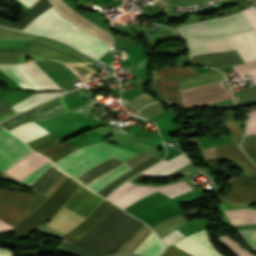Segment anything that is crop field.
<instances>
[{
    "label": "crop field",
    "instance_id": "obj_1",
    "mask_svg": "<svg viewBox=\"0 0 256 256\" xmlns=\"http://www.w3.org/2000/svg\"><path fill=\"white\" fill-rule=\"evenodd\" d=\"M256 31V8L242 11ZM242 12L219 19L205 20L177 28L184 35L218 36L252 29ZM191 56L233 50L234 47L245 63L256 60V34L254 30L223 37H186Z\"/></svg>",
    "mask_w": 256,
    "mask_h": 256
},
{
    "label": "crop field",
    "instance_id": "obj_2",
    "mask_svg": "<svg viewBox=\"0 0 256 256\" xmlns=\"http://www.w3.org/2000/svg\"><path fill=\"white\" fill-rule=\"evenodd\" d=\"M136 155L137 154L131 153L125 149L116 147L105 142H101L82 147L70 154L69 156L55 162L54 165L67 173L69 176L76 179L88 169L112 156L123 161V164L108 171L107 173L103 174L86 186L97 193L103 186L108 184L110 181H112L119 175L131 170V168L125 161Z\"/></svg>",
    "mask_w": 256,
    "mask_h": 256
},
{
    "label": "crop field",
    "instance_id": "obj_3",
    "mask_svg": "<svg viewBox=\"0 0 256 256\" xmlns=\"http://www.w3.org/2000/svg\"><path fill=\"white\" fill-rule=\"evenodd\" d=\"M145 224L114 209L92 230L76 241L73 246L112 255L116 253Z\"/></svg>",
    "mask_w": 256,
    "mask_h": 256
},
{
    "label": "crop field",
    "instance_id": "obj_4",
    "mask_svg": "<svg viewBox=\"0 0 256 256\" xmlns=\"http://www.w3.org/2000/svg\"><path fill=\"white\" fill-rule=\"evenodd\" d=\"M23 30L58 38L98 60L110 49L97 37L82 33L72 23L61 18L53 7L36 17Z\"/></svg>",
    "mask_w": 256,
    "mask_h": 256
},
{
    "label": "crop field",
    "instance_id": "obj_5",
    "mask_svg": "<svg viewBox=\"0 0 256 256\" xmlns=\"http://www.w3.org/2000/svg\"><path fill=\"white\" fill-rule=\"evenodd\" d=\"M217 158H228L237 161L245 168L246 176L232 180V184L254 177L256 179V166L242 153L234 142L215 146ZM248 179L233 185L226 196L233 203H256V180Z\"/></svg>",
    "mask_w": 256,
    "mask_h": 256
},
{
    "label": "crop field",
    "instance_id": "obj_6",
    "mask_svg": "<svg viewBox=\"0 0 256 256\" xmlns=\"http://www.w3.org/2000/svg\"><path fill=\"white\" fill-rule=\"evenodd\" d=\"M103 199L104 198L92 193L81 185L64 206L86 218L94 211ZM64 206L47 223V225L67 233L83 222L85 218L66 209Z\"/></svg>",
    "mask_w": 256,
    "mask_h": 256
},
{
    "label": "crop field",
    "instance_id": "obj_7",
    "mask_svg": "<svg viewBox=\"0 0 256 256\" xmlns=\"http://www.w3.org/2000/svg\"><path fill=\"white\" fill-rule=\"evenodd\" d=\"M47 197L23 194L0 189V220L15 226L46 200ZM0 221V234L11 230L12 226Z\"/></svg>",
    "mask_w": 256,
    "mask_h": 256
},
{
    "label": "crop field",
    "instance_id": "obj_8",
    "mask_svg": "<svg viewBox=\"0 0 256 256\" xmlns=\"http://www.w3.org/2000/svg\"><path fill=\"white\" fill-rule=\"evenodd\" d=\"M219 239L224 245L231 248L239 256H254L246 251L237 241H231L225 236H221ZM175 244L201 256H224L214 247L205 229L191 234ZM179 246L176 247V245L173 244L171 247L165 249V252H163L160 256H166L167 253L175 247L176 248L174 250L170 251L168 256H198Z\"/></svg>",
    "mask_w": 256,
    "mask_h": 256
},
{
    "label": "crop field",
    "instance_id": "obj_9",
    "mask_svg": "<svg viewBox=\"0 0 256 256\" xmlns=\"http://www.w3.org/2000/svg\"><path fill=\"white\" fill-rule=\"evenodd\" d=\"M80 185L68 177L40 208L19 222L11 231L28 236L42 222L51 219Z\"/></svg>",
    "mask_w": 256,
    "mask_h": 256
},
{
    "label": "crop field",
    "instance_id": "obj_10",
    "mask_svg": "<svg viewBox=\"0 0 256 256\" xmlns=\"http://www.w3.org/2000/svg\"><path fill=\"white\" fill-rule=\"evenodd\" d=\"M191 190L183 181L160 186V187H146L134 184L132 181H127L117 190H115L109 197V199L120 206L121 208H126L129 205L135 203L139 199L159 191L171 198L182 194L186 191Z\"/></svg>",
    "mask_w": 256,
    "mask_h": 256
},
{
    "label": "crop field",
    "instance_id": "obj_11",
    "mask_svg": "<svg viewBox=\"0 0 256 256\" xmlns=\"http://www.w3.org/2000/svg\"><path fill=\"white\" fill-rule=\"evenodd\" d=\"M224 80L180 91L185 109L201 104L232 98Z\"/></svg>",
    "mask_w": 256,
    "mask_h": 256
},
{
    "label": "crop field",
    "instance_id": "obj_12",
    "mask_svg": "<svg viewBox=\"0 0 256 256\" xmlns=\"http://www.w3.org/2000/svg\"><path fill=\"white\" fill-rule=\"evenodd\" d=\"M66 111H69V108L66 106L62 95L28 110L24 115L1 126L10 131L26 122L50 118Z\"/></svg>",
    "mask_w": 256,
    "mask_h": 256
},
{
    "label": "crop field",
    "instance_id": "obj_13",
    "mask_svg": "<svg viewBox=\"0 0 256 256\" xmlns=\"http://www.w3.org/2000/svg\"><path fill=\"white\" fill-rule=\"evenodd\" d=\"M32 150L4 129H0V169H8Z\"/></svg>",
    "mask_w": 256,
    "mask_h": 256
},
{
    "label": "crop field",
    "instance_id": "obj_14",
    "mask_svg": "<svg viewBox=\"0 0 256 256\" xmlns=\"http://www.w3.org/2000/svg\"><path fill=\"white\" fill-rule=\"evenodd\" d=\"M114 206L115 205H113L108 200H104V202L97 207V209L85 222L78 225L68 234L63 236V242H66L70 245L74 243L79 237L95 227L112 210Z\"/></svg>",
    "mask_w": 256,
    "mask_h": 256
},
{
    "label": "crop field",
    "instance_id": "obj_15",
    "mask_svg": "<svg viewBox=\"0 0 256 256\" xmlns=\"http://www.w3.org/2000/svg\"><path fill=\"white\" fill-rule=\"evenodd\" d=\"M47 161H49V159L41 157L34 152H31L5 172L12 175L17 180H20Z\"/></svg>",
    "mask_w": 256,
    "mask_h": 256
},
{
    "label": "crop field",
    "instance_id": "obj_16",
    "mask_svg": "<svg viewBox=\"0 0 256 256\" xmlns=\"http://www.w3.org/2000/svg\"><path fill=\"white\" fill-rule=\"evenodd\" d=\"M0 69L8 74L14 81L18 82L26 89H43L32 76L21 66L18 65H0Z\"/></svg>",
    "mask_w": 256,
    "mask_h": 256
},
{
    "label": "crop field",
    "instance_id": "obj_17",
    "mask_svg": "<svg viewBox=\"0 0 256 256\" xmlns=\"http://www.w3.org/2000/svg\"><path fill=\"white\" fill-rule=\"evenodd\" d=\"M180 79L181 78L156 80V83L157 91L163 100H168L174 104L182 106L178 92V83Z\"/></svg>",
    "mask_w": 256,
    "mask_h": 256
},
{
    "label": "crop field",
    "instance_id": "obj_18",
    "mask_svg": "<svg viewBox=\"0 0 256 256\" xmlns=\"http://www.w3.org/2000/svg\"><path fill=\"white\" fill-rule=\"evenodd\" d=\"M191 162L186 156L180 154L168 161L163 160L158 165L142 172L144 174L151 175H167L174 171L175 169Z\"/></svg>",
    "mask_w": 256,
    "mask_h": 256
},
{
    "label": "crop field",
    "instance_id": "obj_19",
    "mask_svg": "<svg viewBox=\"0 0 256 256\" xmlns=\"http://www.w3.org/2000/svg\"><path fill=\"white\" fill-rule=\"evenodd\" d=\"M121 163H123V162L112 157V158L98 164L97 166L93 167L92 169H90L89 171H87L86 173L81 175L79 178H77L76 180L80 181L82 184H84L86 186L95 178L99 177L100 175H102L103 173L108 171L109 169H111Z\"/></svg>",
    "mask_w": 256,
    "mask_h": 256
},
{
    "label": "crop field",
    "instance_id": "obj_20",
    "mask_svg": "<svg viewBox=\"0 0 256 256\" xmlns=\"http://www.w3.org/2000/svg\"><path fill=\"white\" fill-rule=\"evenodd\" d=\"M159 160H161V159L154 158V157L150 158L148 161L139 165L138 167H136L132 171H130V172L116 178L112 182H110L101 191H99L98 194L106 197L110 192H112L114 189H116L122 182L126 181L127 179L131 178L132 176L136 175L140 171H142L145 168L151 166L152 164L156 163Z\"/></svg>",
    "mask_w": 256,
    "mask_h": 256
},
{
    "label": "crop field",
    "instance_id": "obj_21",
    "mask_svg": "<svg viewBox=\"0 0 256 256\" xmlns=\"http://www.w3.org/2000/svg\"><path fill=\"white\" fill-rule=\"evenodd\" d=\"M10 132L15 134L18 138L23 140L25 143L48 134L47 133L48 131L46 132L34 122L26 123L22 126L15 128Z\"/></svg>",
    "mask_w": 256,
    "mask_h": 256
},
{
    "label": "crop field",
    "instance_id": "obj_22",
    "mask_svg": "<svg viewBox=\"0 0 256 256\" xmlns=\"http://www.w3.org/2000/svg\"><path fill=\"white\" fill-rule=\"evenodd\" d=\"M63 173L57 170L54 166L48 169L40 176L29 188L35 193L43 195L49 186L58 179Z\"/></svg>",
    "mask_w": 256,
    "mask_h": 256
},
{
    "label": "crop field",
    "instance_id": "obj_23",
    "mask_svg": "<svg viewBox=\"0 0 256 256\" xmlns=\"http://www.w3.org/2000/svg\"><path fill=\"white\" fill-rule=\"evenodd\" d=\"M25 57H48L30 50L0 51V63H22Z\"/></svg>",
    "mask_w": 256,
    "mask_h": 256
},
{
    "label": "crop field",
    "instance_id": "obj_24",
    "mask_svg": "<svg viewBox=\"0 0 256 256\" xmlns=\"http://www.w3.org/2000/svg\"><path fill=\"white\" fill-rule=\"evenodd\" d=\"M162 250L163 246L160 240L152 231L133 252L157 256L162 252Z\"/></svg>",
    "mask_w": 256,
    "mask_h": 256
},
{
    "label": "crop field",
    "instance_id": "obj_25",
    "mask_svg": "<svg viewBox=\"0 0 256 256\" xmlns=\"http://www.w3.org/2000/svg\"><path fill=\"white\" fill-rule=\"evenodd\" d=\"M22 65L44 89H60L33 61Z\"/></svg>",
    "mask_w": 256,
    "mask_h": 256
},
{
    "label": "crop field",
    "instance_id": "obj_26",
    "mask_svg": "<svg viewBox=\"0 0 256 256\" xmlns=\"http://www.w3.org/2000/svg\"><path fill=\"white\" fill-rule=\"evenodd\" d=\"M52 7L46 0L39 1L32 9H30L24 16L17 20L13 27L23 29L33 18Z\"/></svg>",
    "mask_w": 256,
    "mask_h": 256
},
{
    "label": "crop field",
    "instance_id": "obj_27",
    "mask_svg": "<svg viewBox=\"0 0 256 256\" xmlns=\"http://www.w3.org/2000/svg\"><path fill=\"white\" fill-rule=\"evenodd\" d=\"M224 115H225V119L223 120V127L224 129L229 131L230 137L236 143V145H238L241 142L244 136V133L240 129L235 119L234 113L227 112V113H224Z\"/></svg>",
    "mask_w": 256,
    "mask_h": 256
},
{
    "label": "crop field",
    "instance_id": "obj_28",
    "mask_svg": "<svg viewBox=\"0 0 256 256\" xmlns=\"http://www.w3.org/2000/svg\"><path fill=\"white\" fill-rule=\"evenodd\" d=\"M181 65L177 67H166L164 68V71H155L154 76L155 79H162V78H176V77H188L193 74H197V72L190 68V67H180Z\"/></svg>",
    "mask_w": 256,
    "mask_h": 256
},
{
    "label": "crop field",
    "instance_id": "obj_29",
    "mask_svg": "<svg viewBox=\"0 0 256 256\" xmlns=\"http://www.w3.org/2000/svg\"><path fill=\"white\" fill-rule=\"evenodd\" d=\"M59 140H61V139H59L51 134H48L42 138H39L35 141L27 143V145L29 147H31L33 150H35L41 154L42 152L49 149L52 145H54Z\"/></svg>",
    "mask_w": 256,
    "mask_h": 256
},
{
    "label": "crop field",
    "instance_id": "obj_30",
    "mask_svg": "<svg viewBox=\"0 0 256 256\" xmlns=\"http://www.w3.org/2000/svg\"><path fill=\"white\" fill-rule=\"evenodd\" d=\"M78 147H74L68 144H58L56 146H54L53 148L45 151L42 155L47 156L48 158L52 159L53 162L59 160L60 158L66 156L67 154H69L71 151H73L74 149H76ZM51 160V161H52Z\"/></svg>",
    "mask_w": 256,
    "mask_h": 256
},
{
    "label": "crop field",
    "instance_id": "obj_31",
    "mask_svg": "<svg viewBox=\"0 0 256 256\" xmlns=\"http://www.w3.org/2000/svg\"><path fill=\"white\" fill-rule=\"evenodd\" d=\"M45 94H47V93H37V94H34V95L30 96L29 98L25 99L24 101H22L21 103L17 104V105L14 106L13 108H15V107H17V106H19V105H22V104H24V103H26V102H29V101H31V100H33V99H35V98H38V97H40V96H42V95H45ZM59 94H61V93H49V94H47V95H45V96H42V97H40V98H38V99H35V100H33V101L29 102V103H26V104H24V105H22V106H19V107L15 108V110H16L17 112H19V111H21V110H24V109H26V108H29V107H31V106H34V105H36V104H38V103H40V102H42V101L48 100V99H50V98H53V97H55V96H57V95H59Z\"/></svg>",
    "mask_w": 256,
    "mask_h": 256
},
{
    "label": "crop field",
    "instance_id": "obj_32",
    "mask_svg": "<svg viewBox=\"0 0 256 256\" xmlns=\"http://www.w3.org/2000/svg\"><path fill=\"white\" fill-rule=\"evenodd\" d=\"M242 150L256 164V136H246L242 143Z\"/></svg>",
    "mask_w": 256,
    "mask_h": 256
},
{
    "label": "crop field",
    "instance_id": "obj_33",
    "mask_svg": "<svg viewBox=\"0 0 256 256\" xmlns=\"http://www.w3.org/2000/svg\"><path fill=\"white\" fill-rule=\"evenodd\" d=\"M58 250L61 252L75 255V256H106V255H102V254H99L96 252L78 249L76 247L69 246L63 242L60 245Z\"/></svg>",
    "mask_w": 256,
    "mask_h": 256
},
{
    "label": "crop field",
    "instance_id": "obj_34",
    "mask_svg": "<svg viewBox=\"0 0 256 256\" xmlns=\"http://www.w3.org/2000/svg\"><path fill=\"white\" fill-rule=\"evenodd\" d=\"M52 165L51 161L44 164L40 168H38L36 171L31 173L30 175L26 176L24 179L21 180V182L27 183L31 185L41 174H43L50 166Z\"/></svg>",
    "mask_w": 256,
    "mask_h": 256
},
{
    "label": "crop field",
    "instance_id": "obj_35",
    "mask_svg": "<svg viewBox=\"0 0 256 256\" xmlns=\"http://www.w3.org/2000/svg\"><path fill=\"white\" fill-rule=\"evenodd\" d=\"M183 238V236L180 234V232L176 229L170 234L166 235L164 238H162V242L164 244V247L167 248L174 242L178 241L179 239Z\"/></svg>",
    "mask_w": 256,
    "mask_h": 256
},
{
    "label": "crop field",
    "instance_id": "obj_36",
    "mask_svg": "<svg viewBox=\"0 0 256 256\" xmlns=\"http://www.w3.org/2000/svg\"><path fill=\"white\" fill-rule=\"evenodd\" d=\"M243 238L251 245L256 251V230L239 231Z\"/></svg>",
    "mask_w": 256,
    "mask_h": 256
},
{
    "label": "crop field",
    "instance_id": "obj_37",
    "mask_svg": "<svg viewBox=\"0 0 256 256\" xmlns=\"http://www.w3.org/2000/svg\"><path fill=\"white\" fill-rule=\"evenodd\" d=\"M252 113L247 114L248 116V134L256 133V108L250 109Z\"/></svg>",
    "mask_w": 256,
    "mask_h": 256
},
{
    "label": "crop field",
    "instance_id": "obj_38",
    "mask_svg": "<svg viewBox=\"0 0 256 256\" xmlns=\"http://www.w3.org/2000/svg\"><path fill=\"white\" fill-rule=\"evenodd\" d=\"M235 72H239V73H245L248 72L250 70H253L256 68V61L251 62V63H247V64H242V65H235L232 66Z\"/></svg>",
    "mask_w": 256,
    "mask_h": 256
},
{
    "label": "crop field",
    "instance_id": "obj_39",
    "mask_svg": "<svg viewBox=\"0 0 256 256\" xmlns=\"http://www.w3.org/2000/svg\"><path fill=\"white\" fill-rule=\"evenodd\" d=\"M249 75H251V82H252V85H255L256 84V70L254 71H251L249 73H247ZM233 98H234V103L236 104V99L234 97V94H233Z\"/></svg>",
    "mask_w": 256,
    "mask_h": 256
},
{
    "label": "crop field",
    "instance_id": "obj_40",
    "mask_svg": "<svg viewBox=\"0 0 256 256\" xmlns=\"http://www.w3.org/2000/svg\"><path fill=\"white\" fill-rule=\"evenodd\" d=\"M0 256H15L11 251L0 249Z\"/></svg>",
    "mask_w": 256,
    "mask_h": 256
},
{
    "label": "crop field",
    "instance_id": "obj_41",
    "mask_svg": "<svg viewBox=\"0 0 256 256\" xmlns=\"http://www.w3.org/2000/svg\"><path fill=\"white\" fill-rule=\"evenodd\" d=\"M22 1L25 5H27L29 8L35 4L38 0H20Z\"/></svg>",
    "mask_w": 256,
    "mask_h": 256
},
{
    "label": "crop field",
    "instance_id": "obj_42",
    "mask_svg": "<svg viewBox=\"0 0 256 256\" xmlns=\"http://www.w3.org/2000/svg\"><path fill=\"white\" fill-rule=\"evenodd\" d=\"M120 256H137V255H120Z\"/></svg>",
    "mask_w": 256,
    "mask_h": 256
}]
</instances>
